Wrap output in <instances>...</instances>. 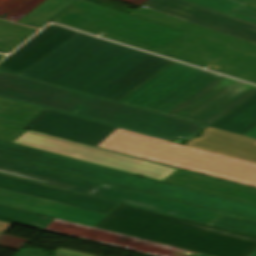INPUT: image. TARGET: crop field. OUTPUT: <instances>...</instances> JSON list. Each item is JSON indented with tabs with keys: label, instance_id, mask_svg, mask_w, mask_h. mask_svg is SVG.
<instances>
[{
	"label": "crop field",
	"instance_id": "crop-field-1",
	"mask_svg": "<svg viewBox=\"0 0 256 256\" xmlns=\"http://www.w3.org/2000/svg\"><path fill=\"white\" fill-rule=\"evenodd\" d=\"M21 76L164 115L221 77L83 33Z\"/></svg>",
	"mask_w": 256,
	"mask_h": 256
},
{
	"label": "crop field",
	"instance_id": "crop-field-2",
	"mask_svg": "<svg viewBox=\"0 0 256 256\" xmlns=\"http://www.w3.org/2000/svg\"><path fill=\"white\" fill-rule=\"evenodd\" d=\"M0 96L171 141L194 138L207 128L3 71Z\"/></svg>",
	"mask_w": 256,
	"mask_h": 256
},
{
	"label": "crop field",
	"instance_id": "crop-field-3",
	"mask_svg": "<svg viewBox=\"0 0 256 256\" xmlns=\"http://www.w3.org/2000/svg\"><path fill=\"white\" fill-rule=\"evenodd\" d=\"M96 228L211 256H248L256 239L121 205Z\"/></svg>",
	"mask_w": 256,
	"mask_h": 256
},
{
	"label": "crop field",
	"instance_id": "crop-field-4",
	"mask_svg": "<svg viewBox=\"0 0 256 256\" xmlns=\"http://www.w3.org/2000/svg\"><path fill=\"white\" fill-rule=\"evenodd\" d=\"M0 156L28 162L195 206L256 220V206L246 205L98 165L0 140Z\"/></svg>",
	"mask_w": 256,
	"mask_h": 256
},
{
	"label": "crop field",
	"instance_id": "crop-field-5",
	"mask_svg": "<svg viewBox=\"0 0 256 256\" xmlns=\"http://www.w3.org/2000/svg\"><path fill=\"white\" fill-rule=\"evenodd\" d=\"M131 15L190 34L157 53L256 82V45L142 7Z\"/></svg>",
	"mask_w": 256,
	"mask_h": 256
},
{
	"label": "crop field",
	"instance_id": "crop-field-6",
	"mask_svg": "<svg viewBox=\"0 0 256 256\" xmlns=\"http://www.w3.org/2000/svg\"><path fill=\"white\" fill-rule=\"evenodd\" d=\"M98 147L256 187V165L118 128Z\"/></svg>",
	"mask_w": 256,
	"mask_h": 256
},
{
	"label": "crop field",
	"instance_id": "crop-field-7",
	"mask_svg": "<svg viewBox=\"0 0 256 256\" xmlns=\"http://www.w3.org/2000/svg\"><path fill=\"white\" fill-rule=\"evenodd\" d=\"M0 173L211 225L221 214L0 158Z\"/></svg>",
	"mask_w": 256,
	"mask_h": 256
},
{
	"label": "crop field",
	"instance_id": "crop-field-8",
	"mask_svg": "<svg viewBox=\"0 0 256 256\" xmlns=\"http://www.w3.org/2000/svg\"><path fill=\"white\" fill-rule=\"evenodd\" d=\"M53 21L158 51L188 34L80 0Z\"/></svg>",
	"mask_w": 256,
	"mask_h": 256
},
{
	"label": "crop field",
	"instance_id": "crop-field-9",
	"mask_svg": "<svg viewBox=\"0 0 256 256\" xmlns=\"http://www.w3.org/2000/svg\"><path fill=\"white\" fill-rule=\"evenodd\" d=\"M13 143L160 181H164L176 171V169L67 142L30 131L16 139Z\"/></svg>",
	"mask_w": 256,
	"mask_h": 256
},
{
	"label": "crop field",
	"instance_id": "crop-field-10",
	"mask_svg": "<svg viewBox=\"0 0 256 256\" xmlns=\"http://www.w3.org/2000/svg\"><path fill=\"white\" fill-rule=\"evenodd\" d=\"M256 93V87L220 78L167 116L208 126Z\"/></svg>",
	"mask_w": 256,
	"mask_h": 256
},
{
	"label": "crop field",
	"instance_id": "crop-field-11",
	"mask_svg": "<svg viewBox=\"0 0 256 256\" xmlns=\"http://www.w3.org/2000/svg\"><path fill=\"white\" fill-rule=\"evenodd\" d=\"M150 9L256 44V26L186 3L181 0H150Z\"/></svg>",
	"mask_w": 256,
	"mask_h": 256
},
{
	"label": "crop field",
	"instance_id": "crop-field-12",
	"mask_svg": "<svg viewBox=\"0 0 256 256\" xmlns=\"http://www.w3.org/2000/svg\"><path fill=\"white\" fill-rule=\"evenodd\" d=\"M26 128L97 146L117 127L44 109Z\"/></svg>",
	"mask_w": 256,
	"mask_h": 256
},
{
	"label": "crop field",
	"instance_id": "crop-field-13",
	"mask_svg": "<svg viewBox=\"0 0 256 256\" xmlns=\"http://www.w3.org/2000/svg\"><path fill=\"white\" fill-rule=\"evenodd\" d=\"M45 231L94 240L156 256H195L197 253L110 232L86 228L70 222L54 220Z\"/></svg>",
	"mask_w": 256,
	"mask_h": 256
},
{
	"label": "crop field",
	"instance_id": "crop-field-14",
	"mask_svg": "<svg viewBox=\"0 0 256 256\" xmlns=\"http://www.w3.org/2000/svg\"><path fill=\"white\" fill-rule=\"evenodd\" d=\"M0 189L109 215L119 204L0 174Z\"/></svg>",
	"mask_w": 256,
	"mask_h": 256
},
{
	"label": "crop field",
	"instance_id": "crop-field-15",
	"mask_svg": "<svg viewBox=\"0 0 256 256\" xmlns=\"http://www.w3.org/2000/svg\"><path fill=\"white\" fill-rule=\"evenodd\" d=\"M78 33L56 25H50L5 59L0 64V70L20 75Z\"/></svg>",
	"mask_w": 256,
	"mask_h": 256
},
{
	"label": "crop field",
	"instance_id": "crop-field-16",
	"mask_svg": "<svg viewBox=\"0 0 256 256\" xmlns=\"http://www.w3.org/2000/svg\"><path fill=\"white\" fill-rule=\"evenodd\" d=\"M0 204L94 227L105 215L0 190Z\"/></svg>",
	"mask_w": 256,
	"mask_h": 256
},
{
	"label": "crop field",
	"instance_id": "crop-field-17",
	"mask_svg": "<svg viewBox=\"0 0 256 256\" xmlns=\"http://www.w3.org/2000/svg\"><path fill=\"white\" fill-rule=\"evenodd\" d=\"M186 146L229 156L256 164V140L208 127L201 138H195Z\"/></svg>",
	"mask_w": 256,
	"mask_h": 256
},
{
	"label": "crop field",
	"instance_id": "crop-field-18",
	"mask_svg": "<svg viewBox=\"0 0 256 256\" xmlns=\"http://www.w3.org/2000/svg\"><path fill=\"white\" fill-rule=\"evenodd\" d=\"M164 182L188 187L214 195L256 205V190L179 171L177 170Z\"/></svg>",
	"mask_w": 256,
	"mask_h": 256
},
{
	"label": "crop field",
	"instance_id": "crop-field-19",
	"mask_svg": "<svg viewBox=\"0 0 256 256\" xmlns=\"http://www.w3.org/2000/svg\"><path fill=\"white\" fill-rule=\"evenodd\" d=\"M256 126V95L211 127L243 135ZM244 136V135H243Z\"/></svg>",
	"mask_w": 256,
	"mask_h": 256
},
{
	"label": "crop field",
	"instance_id": "crop-field-20",
	"mask_svg": "<svg viewBox=\"0 0 256 256\" xmlns=\"http://www.w3.org/2000/svg\"><path fill=\"white\" fill-rule=\"evenodd\" d=\"M256 25V8L235 0H184Z\"/></svg>",
	"mask_w": 256,
	"mask_h": 256
},
{
	"label": "crop field",
	"instance_id": "crop-field-21",
	"mask_svg": "<svg viewBox=\"0 0 256 256\" xmlns=\"http://www.w3.org/2000/svg\"><path fill=\"white\" fill-rule=\"evenodd\" d=\"M43 108L0 97V121L25 127Z\"/></svg>",
	"mask_w": 256,
	"mask_h": 256
},
{
	"label": "crop field",
	"instance_id": "crop-field-22",
	"mask_svg": "<svg viewBox=\"0 0 256 256\" xmlns=\"http://www.w3.org/2000/svg\"><path fill=\"white\" fill-rule=\"evenodd\" d=\"M75 0H47L18 23L39 28Z\"/></svg>",
	"mask_w": 256,
	"mask_h": 256
},
{
	"label": "crop field",
	"instance_id": "crop-field-23",
	"mask_svg": "<svg viewBox=\"0 0 256 256\" xmlns=\"http://www.w3.org/2000/svg\"><path fill=\"white\" fill-rule=\"evenodd\" d=\"M36 30L0 21V51L8 53Z\"/></svg>",
	"mask_w": 256,
	"mask_h": 256
},
{
	"label": "crop field",
	"instance_id": "crop-field-24",
	"mask_svg": "<svg viewBox=\"0 0 256 256\" xmlns=\"http://www.w3.org/2000/svg\"><path fill=\"white\" fill-rule=\"evenodd\" d=\"M0 220L43 230L53 219L0 207Z\"/></svg>",
	"mask_w": 256,
	"mask_h": 256
},
{
	"label": "crop field",
	"instance_id": "crop-field-25",
	"mask_svg": "<svg viewBox=\"0 0 256 256\" xmlns=\"http://www.w3.org/2000/svg\"><path fill=\"white\" fill-rule=\"evenodd\" d=\"M213 226L249 234L256 236V223L227 216L221 215L213 224Z\"/></svg>",
	"mask_w": 256,
	"mask_h": 256
},
{
	"label": "crop field",
	"instance_id": "crop-field-26",
	"mask_svg": "<svg viewBox=\"0 0 256 256\" xmlns=\"http://www.w3.org/2000/svg\"><path fill=\"white\" fill-rule=\"evenodd\" d=\"M44 1L45 0H26L16 10H14L12 13H10L8 16H6L5 19L12 21L14 19V17L20 13L27 15L28 13H30L32 10H34L36 7H38Z\"/></svg>",
	"mask_w": 256,
	"mask_h": 256
},
{
	"label": "crop field",
	"instance_id": "crop-field-27",
	"mask_svg": "<svg viewBox=\"0 0 256 256\" xmlns=\"http://www.w3.org/2000/svg\"><path fill=\"white\" fill-rule=\"evenodd\" d=\"M27 130L11 127L0 123V139L6 141H14L16 138L24 134Z\"/></svg>",
	"mask_w": 256,
	"mask_h": 256
},
{
	"label": "crop field",
	"instance_id": "crop-field-28",
	"mask_svg": "<svg viewBox=\"0 0 256 256\" xmlns=\"http://www.w3.org/2000/svg\"><path fill=\"white\" fill-rule=\"evenodd\" d=\"M27 242H28L27 240L9 237V236H5V235H2L0 237V246L11 248V249H16V250H19Z\"/></svg>",
	"mask_w": 256,
	"mask_h": 256
},
{
	"label": "crop field",
	"instance_id": "crop-field-29",
	"mask_svg": "<svg viewBox=\"0 0 256 256\" xmlns=\"http://www.w3.org/2000/svg\"><path fill=\"white\" fill-rule=\"evenodd\" d=\"M54 253L56 256H90V255L72 252V251H68V250H64V249H59Z\"/></svg>",
	"mask_w": 256,
	"mask_h": 256
},
{
	"label": "crop field",
	"instance_id": "crop-field-30",
	"mask_svg": "<svg viewBox=\"0 0 256 256\" xmlns=\"http://www.w3.org/2000/svg\"><path fill=\"white\" fill-rule=\"evenodd\" d=\"M13 224L0 221V234H3L7 229H9Z\"/></svg>",
	"mask_w": 256,
	"mask_h": 256
},
{
	"label": "crop field",
	"instance_id": "crop-field-31",
	"mask_svg": "<svg viewBox=\"0 0 256 256\" xmlns=\"http://www.w3.org/2000/svg\"><path fill=\"white\" fill-rule=\"evenodd\" d=\"M244 136L256 139V127L254 129H252L251 131H249L248 133H246Z\"/></svg>",
	"mask_w": 256,
	"mask_h": 256
},
{
	"label": "crop field",
	"instance_id": "crop-field-32",
	"mask_svg": "<svg viewBox=\"0 0 256 256\" xmlns=\"http://www.w3.org/2000/svg\"><path fill=\"white\" fill-rule=\"evenodd\" d=\"M237 1H240V2H243V3H246L248 5L256 7V0H237Z\"/></svg>",
	"mask_w": 256,
	"mask_h": 256
},
{
	"label": "crop field",
	"instance_id": "crop-field-33",
	"mask_svg": "<svg viewBox=\"0 0 256 256\" xmlns=\"http://www.w3.org/2000/svg\"><path fill=\"white\" fill-rule=\"evenodd\" d=\"M250 256H256V251L253 254H251Z\"/></svg>",
	"mask_w": 256,
	"mask_h": 256
},
{
	"label": "crop field",
	"instance_id": "crop-field-34",
	"mask_svg": "<svg viewBox=\"0 0 256 256\" xmlns=\"http://www.w3.org/2000/svg\"><path fill=\"white\" fill-rule=\"evenodd\" d=\"M197 256H205V255L198 254Z\"/></svg>",
	"mask_w": 256,
	"mask_h": 256
},
{
	"label": "crop field",
	"instance_id": "crop-field-35",
	"mask_svg": "<svg viewBox=\"0 0 256 256\" xmlns=\"http://www.w3.org/2000/svg\"><path fill=\"white\" fill-rule=\"evenodd\" d=\"M3 58V56H0V59Z\"/></svg>",
	"mask_w": 256,
	"mask_h": 256
},
{
	"label": "crop field",
	"instance_id": "crop-field-36",
	"mask_svg": "<svg viewBox=\"0 0 256 256\" xmlns=\"http://www.w3.org/2000/svg\"><path fill=\"white\" fill-rule=\"evenodd\" d=\"M1 236V235H0Z\"/></svg>",
	"mask_w": 256,
	"mask_h": 256
}]
</instances>
